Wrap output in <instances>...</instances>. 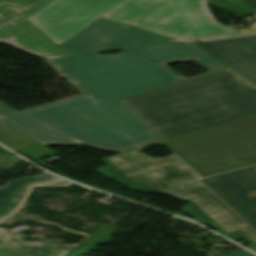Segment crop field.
Wrapping results in <instances>:
<instances>
[{
  "label": "crop field",
  "mask_w": 256,
  "mask_h": 256,
  "mask_svg": "<svg viewBox=\"0 0 256 256\" xmlns=\"http://www.w3.org/2000/svg\"><path fill=\"white\" fill-rule=\"evenodd\" d=\"M34 180V178L19 179L0 188V224H11V220L18 217V210L23 207ZM8 239L9 235L0 233V248Z\"/></svg>",
  "instance_id": "crop-field-12"
},
{
  "label": "crop field",
  "mask_w": 256,
  "mask_h": 256,
  "mask_svg": "<svg viewBox=\"0 0 256 256\" xmlns=\"http://www.w3.org/2000/svg\"><path fill=\"white\" fill-rule=\"evenodd\" d=\"M24 156H27L45 166H47L48 164L38 160L46 155H49L51 153H53L50 149H48L47 147L40 145L36 142L16 151Z\"/></svg>",
  "instance_id": "crop-field-15"
},
{
  "label": "crop field",
  "mask_w": 256,
  "mask_h": 256,
  "mask_svg": "<svg viewBox=\"0 0 256 256\" xmlns=\"http://www.w3.org/2000/svg\"><path fill=\"white\" fill-rule=\"evenodd\" d=\"M110 19L123 23L130 20L135 25L185 40L197 38L174 0H135Z\"/></svg>",
  "instance_id": "crop-field-7"
},
{
  "label": "crop field",
  "mask_w": 256,
  "mask_h": 256,
  "mask_svg": "<svg viewBox=\"0 0 256 256\" xmlns=\"http://www.w3.org/2000/svg\"><path fill=\"white\" fill-rule=\"evenodd\" d=\"M225 68L191 43L46 60L83 95L18 111L0 102V123L43 144L122 152L160 141L117 100L185 80L168 67Z\"/></svg>",
  "instance_id": "crop-field-1"
},
{
  "label": "crop field",
  "mask_w": 256,
  "mask_h": 256,
  "mask_svg": "<svg viewBox=\"0 0 256 256\" xmlns=\"http://www.w3.org/2000/svg\"><path fill=\"white\" fill-rule=\"evenodd\" d=\"M239 1L256 13V0H230Z\"/></svg>",
  "instance_id": "crop-field-20"
},
{
  "label": "crop field",
  "mask_w": 256,
  "mask_h": 256,
  "mask_svg": "<svg viewBox=\"0 0 256 256\" xmlns=\"http://www.w3.org/2000/svg\"><path fill=\"white\" fill-rule=\"evenodd\" d=\"M194 44L256 86V36Z\"/></svg>",
  "instance_id": "crop-field-8"
},
{
  "label": "crop field",
  "mask_w": 256,
  "mask_h": 256,
  "mask_svg": "<svg viewBox=\"0 0 256 256\" xmlns=\"http://www.w3.org/2000/svg\"><path fill=\"white\" fill-rule=\"evenodd\" d=\"M2 3H10L12 5L29 10L30 8H32L34 5L37 4V1L36 0H0V4Z\"/></svg>",
  "instance_id": "crop-field-18"
},
{
  "label": "crop field",
  "mask_w": 256,
  "mask_h": 256,
  "mask_svg": "<svg viewBox=\"0 0 256 256\" xmlns=\"http://www.w3.org/2000/svg\"><path fill=\"white\" fill-rule=\"evenodd\" d=\"M32 142L34 141L0 124V143L3 145L16 151Z\"/></svg>",
  "instance_id": "crop-field-14"
},
{
  "label": "crop field",
  "mask_w": 256,
  "mask_h": 256,
  "mask_svg": "<svg viewBox=\"0 0 256 256\" xmlns=\"http://www.w3.org/2000/svg\"><path fill=\"white\" fill-rule=\"evenodd\" d=\"M21 237L10 235L8 243L3 248L14 252L20 256H64L77 244H26Z\"/></svg>",
  "instance_id": "crop-field-13"
},
{
  "label": "crop field",
  "mask_w": 256,
  "mask_h": 256,
  "mask_svg": "<svg viewBox=\"0 0 256 256\" xmlns=\"http://www.w3.org/2000/svg\"><path fill=\"white\" fill-rule=\"evenodd\" d=\"M207 0H177L199 39H216L244 35V30L234 31L217 22L210 14Z\"/></svg>",
  "instance_id": "crop-field-11"
},
{
  "label": "crop field",
  "mask_w": 256,
  "mask_h": 256,
  "mask_svg": "<svg viewBox=\"0 0 256 256\" xmlns=\"http://www.w3.org/2000/svg\"><path fill=\"white\" fill-rule=\"evenodd\" d=\"M122 0H40L25 15L58 46Z\"/></svg>",
  "instance_id": "crop-field-6"
},
{
  "label": "crop field",
  "mask_w": 256,
  "mask_h": 256,
  "mask_svg": "<svg viewBox=\"0 0 256 256\" xmlns=\"http://www.w3.org/2000/svg\"><path fill=\"white\" fill-rule=\"evenodd\" d=\"M133 0H124L121 3H119L117 6H115L114 8H112L110 11H108L107 13H105L103 15V17H111L113 14H115L116 12H118L119 10H121L123 7H125L126 5H128L129 3H131Z\"/></svg>",
  "instance_id": "crop-field-19"
},
{
  "label": "crop field",
  "mask_w": 256,
  "mask_h": 256,
  "mask_svg": "<svg viewBox=\"0 0 256 256\" xmlns=\"http://www.w3.org/2000/svg\"><path fill=\"white\" fill-rule=\"evenodd\" d=\"M246 34L256 33V29L245 30Z\"/></svg>",
  "instance_id": "crop-field-21"
},
{
  "label": "crop field",
  "mask_w": 256,
  "mask_h": 256,
  "mask_svg": "<svg viewBox=\"0 0 256 256\" xmlns=\"http://www.w3.org/2000/svg\"><path fill=\"white\" fill-rule=\"evenodd\" d=\"M166 143L203 177L256 164V115Z\"/></svg>",
  "instance_id": "crop-field-4"
},
{
  "label": "crop field",
  "mask_w": 256,
  "mask_h": 256,
  "mask_svg": "<svg viewBox=\"0 0 256 256\" xmlns=\"http://www.w3.org/2000/svg\"><path fill=\"white\" fill-rule=\"evenodd\" d=\"M0 43L45 59L68 56L24 16H17L0 25Z\"/></svg>",
  "instance_id": "crop-field-9"
},
{
  "label": "crop field",
  "mask_w": 256,
  "mask_h": 256,
  "mask_svg": "<svg viewBox=\"0 0 256 256\" xmlns=\"http://www.w3.org/2000/svg\"><path fill=\"white\" fill-rule=\"evenodd\" d=\"M35 178H37V179L35 180L33 186H68V185L72 184V183L64 180V181H61V182L46 185L45 183H51V182L59 179L58 177L53 176V175L48 174V173L36 176Z\"/></svg>",
  "instance_id": "crop-field-16"
},
{
  "label": "crop field",
  "mask_w": 256,
  "mask_h": 256,
  "mask_svg": "<svg viewBox=\"0 0 256 256\" xmlns=\"http://www.w3.org/2000/svg\"><path fill=\"white\" fill-rule=\"evenodd\" d=\"M175 2H176V0H175ZM177 4V3H176ZM181 10V9H180ZM182 12V11H181ZM183 13V12H182ZM184 15V14H183ZM185 17V16H184ZM186 19V18H185ZM187 21V20H186ZM188 23V22H187ZM189 25V24H188Z\"/></svg>",
  "instance_id": "crop-field-22"
},
{
  "label": "crop field",
  "mask_w": 256,
  "mask_h": 256,
  "mask_svg": "<svg viewBox=\"0 0 256 256\" xmlns=\"http://www.w3.org/2000/svg\"><path fill=\"white\" fill-rule=\"evenodd\" d=\"M206 180L256 224V165Z\"/></svg>",
  "instance_id": "crop-field-10"
},
{
  "label": "crop field",
  "mask_w": 256,
  "mask_h": 256,
  "mask_svg": "<svg viewBox=\"0 0 256 256\" xmlns=\"http://www.w3.org/2000/svg\"><path fill=\"white\" fill-rule=\"evenodd\" d=\"M24 12L21 9L6 5L0 8V24L6 22L7 20L15 17L16 15Z\"/></svg>",
  "instance_id": "crop-field-17"
},
{
  "label": "crop field",
  "mask_w": 256,
  "mask_h": 256,
  "mask_svg": "<svg viewBox=\"0 0 256 256\" xmlns=\"http://www.w3.org/2000/svg\"><path fill=\"white\" fill-rule=\"evenodd\" d=\"M97 171L133 190L169 194L191 205L183 208L219 233L251 243L256 251V227L175 154L154 158L138 151L102 160Z\"/></svg>",
  "instance_id": "crop-field-3"
},
{
  "label": "crop field",
  "mask_w": 256,
  "mask_h": 256,
  "mask_svg": "<svg viewBox=\"0 0 256 256\" xmlns=\"http://www.w3.org/2000/svg\"><path fill=\"white\" fill-rule=\"evenodd\" d=\"M174 39L99 17L59 47L74 56L164 45Z\"/></svg>",
  "instance_id": "crop-field-5"
},
{
  "label": "crop field",
  "mask_w": 256,
  "mask_h": 256,
  "mask_svg": "<svg viewBox=\"0 0 256 256\" xmlns=\"http://www.w3.org/2000/svg\"><path fill=\"white\" fill-rule=\"evenodd\" d=\"M225 69L123 100L163 141L256 114V89Z\"/></svg>",
  "instance_id": "crop-field-2"
}]
</instances>
